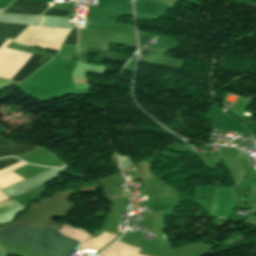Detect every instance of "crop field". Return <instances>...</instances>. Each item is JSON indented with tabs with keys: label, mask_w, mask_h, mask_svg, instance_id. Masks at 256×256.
Masks as SVG:
<instances>
[{
	"label": "crop field",
	"mask_w": 256,
	"mask_h": 256,
	"mask_svg": "<svg viewBox=\"0 0 256 256\" xmlns=\"http://www.w3.org/2000/svg\"><path fill=\"white\" fill-rule=\"evenodd\" d=\"M0 238L32 248L46 256H69L79 243L68 239L52 227H24L15 224L0 231Z\"/></svg>",
	"instance_id": "1"
},
{
	"label": "crop field",
	"mask_w": 256,
	"mask_h": 256,
	"mask_svg": "<svg viewBox=\"0 0 256 256\" xmlns=\"http://www.w3.org/2000/svg\"><path fill=\"white\" fill-rule=\"evenodd\" d=\"M48 7L46 2L38 1H15L2 13L35 14L40 15Z\"/></svg>",
	"instance_id": "2"
},
{
	"label": "crop field",
	"mask_w": 256,
	"mask_h": 256,
	"mask_svg": "<svg viewBox=\"0 0 256 256\" xmlns=\"http://www.w3.org/2000/svg\"><path fill=\"white\" fill-rule=\"evenodd\" d=\"M6 39H0V49L6 43ZM50 58L33 55L30 60L23 66V68L15 75L12 81L19 83L35 70L40 68L46 62H48Z\"/></svg>",
	"instance_id": "3"
},
{
	"label": "crop field",
	"mask_w": 256,
	"mask_h": 256,
	"mask_svg": "<svg viewBox=\"0 0 256 256\" xmlns=\"http://www.w3.org/2000/svg\"><path fill=\"white\" fill-rule=\"evenodd\" d=\"M26 27V25L0 23V38L14 39Z\"/></svg>",
	"instance_id": "4"
},
{
	"label": "crop field",
	"mask_w": 256,
	"mask_h": 256,
	"mask_svg": "<svg viewBox=\"0 0 256 256\" xmlns=\"http://www.w3.org/2000/svg\"><path fill=\"white\" fill-rule=\"evenodd\" d=\"M33 149H35L34 146H28L26 144L4 147L0 148V156L18 155Z\"/></svg>",
	"instance_id": "5"
},
{
	"label": "crop field",
	"mask_w": 256,
	"mask_h": 256,
	"mask_svg": "<svg viewBox=\"0 0 256 256\" xmlns=\"http://www.w3.org/2000/svg\"><path fill=\"white\" fill-rule=\"evenodd\" d=\"M43 15L67 16V17H71V16H73V15H75V14H73L72 12L47 10Z\"/></svg>",
	"instance_id": "6"
},
{
	"label": "crop field",
	"mask_w": 256,
	"mask_h": 256,
	"mask_svg": "<svg viewBox=\"0 0 256 256\" xmlns=\"http://www.w3.org/2000/svg\"><path fill=\"white\" fill-rule=\"evenodd\" d=\"M64 44L76 45V26H74V28L69 33Z\"/></svg>",
	"instance_id": "7"
},
{
	"label": "crop field",
	"mask_w": 256,
	"mask_h": 256,
	"mask_svg": "<svg viewBox=\"0 0 256 256\" xmlns=\"http://www.w3.org/2000/svg\"><path fill=\"white\" fill-rule=\"evenodd\" d=\"M17 161H19V160L14 159V158H5V159H1V160H0V168L5 167V166H7V165H10V164H12V163H14V162H17Z\"/></svg>",
	"instance_id": "8"
},
{
	"label": "crop field",
	"mask_w": 256,
	"mask_h": 256,
	"mask_svg": "<svg viewBox=\"0 0 256 256\" xmlns=\"http://www.w3.org/2000/svg\"><path fill=\"white\" fill-rule=\"evenodd\" d=\"M13 143L10 142L8 139L4 138L1 134H0V147L1 146H9L12 145Z\"/></svg>",
	"instance_id": "9"
},
{
	"label": "crop field",
	"mask_w": 256,
	"mask_h": 256,
	"mask_svg": "<svg viewBox=\"0 0 256 256\" xmlns=\"http://www.w3.org/2000/svg\"><path fill=\"white\" fill-rule=\"evenodd\" d=\"M44 16L42 17V21H41V25L40 26H42L43 25V21H44Z\"/></svg>",
	"instance_id": "10"
}]
</instances>
